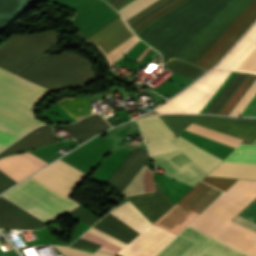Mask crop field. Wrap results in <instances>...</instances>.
<instances>
[{
    "label": "crop field",
    "instance_id": "obj_1",
    "mask_svg": "<svg viewBox=\"0 0 256 256\" xmlns=\"http://www.w3.org/2000/svg\"><path fill=\"white\" fill-rule=\"evenodd\" d=\"M58 43L52 31L12 36L0 46V67L15 74ZM0 68V127L21 137L39 125L33 106L48 92Z\"/></svg>",
    "mask_w": 256,
    "mask_h": 256
},
{
    "label": "crop field",
    "instance_id": "obj_2",
    "mask_svg": "<svg viewBox=\"0 0 256 256\" xmlns=\"http://www.w3.org/2000/svg\"><path fill=\"white\" fill-rule=\"evenodd\" d=\"M179 152H181L180 150H178V151H174V152H170V153H166V154H162V155H158V156H153V157H151L152 159H153V161L155 162V163H157L154 159L155 158H157V157H159L160 159H162L164 162H166L169 166H171L173 169H175V170H173L171 167H169L166 163H164L162 160H160L159 158V160L161 161V162H163L165 165H164V167L168 170V171H170L172 174L174 173V172H176L175 174H171V173H169L165 168H163L159 163H157L159 166H161L163 169H165L166 171L165 172H163V174H165V175H167V176H169V177H172V178H174V179H176V180H178V181H181V182H183V183H185L184 181H186L185 179H183L178 173L180 172L181 173V171H184V170H188L190 173H192L197 179L196 180H194L191 176V178L194 180V181H192V182H190V183H188L187 181V183H188V185H191V186H194V185H196L205 175H206V173L204 172H202L201 170H199L200 168L195 164V163H193V162H190V163H188V164H186V165H184V166H182V167H180L181 165H183V164H185V163H187V162H189V161H191L185 154H183L182 152L181 153H179ZM177 153H179V154H177ZM175 154H177V155H175ZM173 155H175V156H173ZM171 156H173L178 162V164L180 165H178L177 163H175L174 161H172L171 159H170V157ZM195 166H197L196 168H194L195 170H197L200 174L201 173H203V174H201V175H196L194 172H192L190 169L191 168H193V167H195ZM185 172V171H184ZM186 173V172H185ZM180 176L183 180H181L178 176ZM182 174V173H181ZM187 174V173H186ZM188 175V174H187ZM191 175V174H190ZM188 179V178H187ZM236 179H232V178H221V177H211V176H206L202 181H204V182H206V183H208V184H210V185H212V186H214V187H216V188H218V189H220V190H222V191H224V190H226L234 181H235ZM201 184V182H199L194 188H192L181 200H179L164 216H162L161 218H159L157 221H155L154 222V224L153 225H155V226H157V227H159V228H162V229H164V230H166V231H169V232H171V233H173V234H175V235H177L188 223H190L198 214H199V212H197V211H195V210H193V209H191V208H189V207H187V206H185V205H183V204H181L180 202L185 198V197H187L196 187H198L199 185ZM222 192H220V191H218V190H216V189H214V188H212V187H210V186H208V185H206V184H204V183H202L198 188H196L187 198H185L183 201H182V203H184V204H186V205H188V206H190V207H192V208H194V209H196L201 203L202 204H204V205H206V206H208L211 202H213L220 194H221ZM178 204H180V205H182V206H184V207H186V208H188V209H190V210H192V211H194V212H196L197 214L195 215V213H193V212H191V211H189V210H187V209H185V208H183V207H181V206H179ZM128 206L130 209H132L134 212H136L138 215H140L141 217L140 218H142L144 221H146V222H144L142 219H140L139 217H138V215L136 214V213H134L132 210H130L128 207H126V206ZM178 205V206H177ZM123 206H125V207H123ZM177 206V207H176ZM123 207V208H122ZM176 207V208H175ZM120 208H122V209H120ZM175 208V209H174ZM120 209V210H119ZM172 209H174V210H172ZM117 210H119V211H121L123 214H125L126 216H128L129 218H131L133 221H135L136 223L135 224H133L132 226L135 228V229H140L142 226H144L145 224H147V225H145L143 228H141L140 230H136L137 232H141V231H143L145 228H147L149 225H151L150 223H149V221L128 201V202H126V203H124V204H122L121 206H119V207H117L116 209H114L112 212H110V213H114V212H116ZM172 210V211H171ZM171 211V212H170ZM170 212V213H169ZM169 213V214H168ZM168 214V215H167ZM114 215V214H113ZM167 215V216H166ZM195 215V216H194ZM116 216V215H115ZM166 216V217H165ZM177 216H179V217H181V218H183V219H185V220H187V221H189L193 216V218L187 223V224H185L177 233H175V232H173V231H171V230H169V229H167V228H165L170 222H172ZM117 217V216H116ZM165 217V218H164ZM118 218V217H117ZM162 218H164V219H162ZM120 219V218H119ZM162 219V220H161ZM121 220V219H120ZM161 220V221H160ZM123 221V220H122ZM160 221V222H159ZM124 222V221H123ZM159 222V224H161V225H163V226H165V227H163V226H161V225H159V224H157ZM127 224V223H126ZM128 225V224H127ZM153 225H151L150 227H148L146 230H144L142 233H140L137 237H135L127 246H125L126 244H123L122 245V243H120V242H118V241H116V240H114V239H112V238H110V237H108V236H106V235H104V234H102V233H100V232H98V231H96V230H94V229H92V227L88 230V232L92 229V230H94V231H96V232H98V233H100V234H102V235H104V236H106V237H108V238H110L111 240V242H113V243H115V244H117V245H119V246H121V248H123L124 246V248L121 250V251H119V253H118V255L117 256H137L138 255V253H140V254H142V255H144V256H149V255H147V254H145V253H143V252H141V251H144L157 237L158 238H160V239H162V240H164V241H169L171 238H172V236H170V235H168V234H166V233H164V232H162V231H160V230H158V229H156V228H154L153 227ZM130 226V225H129ZM131 227V226H130ZM132 227V228H133ZM153 227V228H152ZM133 228V229H134ZM152 228V229H151ZM151 229V230H150ZM161 229V230H162ZM150 230V231H149ZM163 230V231H164ZM149 231V232H148ZM165 231V232H166ZM148 232V233H147ZM169 232H167V233H169ZM91 233V232H90ZM147 233V234H146ZM171 233H169V234H171ZM93 234V233H92ZM146 234V235H145ZM173 234H171V235H173ZM95 235V234H94ZM145 235V236H144ZM175 235H173L174 237H175ZM97 236V235H96ZM142 236H144V237H142ZM99 237V236H98ZM142 237V238H141ZM173 237V238H174ZM101 238V237H100ZM141 238V239H140ZM172 238V239H173ZM103 239V238H102ZM140 239V240H139ZM171 239V240H172ZM139 240V241H138ZM170 240V241H171ZM138 241V242H137ZM169 241V242H170ZM137 242V243H136ZM169 242H167L160 250H162ZM136 243V244H135ZM135 244V245H134ZM134 245V246H133ZM135 247V248H137V249H139V250H141V251H139V250H137V249H135V248H133V247ZM159 250V251H160ZM158 251V252H159ZM158 252H156L153 256H155ZM140 256V255H139Z\"/></svg>",
    "mask_w": 256,
    "mask_h": 256
},
{
    "label": "crop field",
    "instance_id": "obj_3",
    "mask_svg": "<svg viewBox=\"0 0 256 256\" xmlns=\"http://www.w3.org/2000/svg\"><path fill=\"white\" fill-rule=\"evenodd\" d=\"M18 75L50 91L82 86L96 80L90 64L69 51L56 56H43Z\"/></svg>",
    "mask_w": 256,
    "mask_h": 256
},
{
    "label": "crop field",
    "instance_id": "obj_4",
    "mask_svg": "<svg viewBox=\"0 0 256 256\" xmlns=\"http://www.w3.org/2000/svg\"><path fill=\"white\" fill-rule=\"evenodd\" d=\"M137 122L145 143H150L147 144L150 156L180 149L207 174L222 161V159L198 149L199 147L188 140L176 136L158 116L143 117Z\"/></svg>",
    "mask_w": 256,
    "mask_h": 256
},
{
    "label": "crop field",
    "instance_id": "obj_5",
    "mask_svg": "<svg viewBox=\"0 0 256 256\" xmlns=\"http://www.w3.org/2000/svg\"><path fill=\"white\" fill-rule=\"evenodd\" d=\"M30 178L2 195L47 224L79 205Z\"/></svg>",
    "mask_w": 256,
    "mask_h": 256
},
{
    "label": "crop field",
    "instance_id": "obj_6",
    "mask_svg": "<svg viewBox=\"0 0 256 256\" xmlns=\"http://www.w3.org/2000/svg\"><path fill=\"white\" fill-rule=\"evenodd\" d=\"M86 41L98 47L111 67L140 40L119 15L87 38Z\"/></svg>",
    "mask_w": 256,
    "mask_h": 256
},
{
    "label": "crop field",
    "instance_id": "obj_7",
    "mask_svg": "<svg viewBox=\"0 0 256 256\" xmlns=\"http://www.w3.org/2000/svg\"><path fill=\"white\" fill-rule=\"evenodd\" d=\"M252 0H233L178 56L194 63Z\"/></svg>",
    "mask_w": 256,
    "mask_h": 256
},
{
    "label": "crop field",
    "instance_id": "obj_8",
    "mask_svg": "<svg viewBox=\"0 0 256 256\" xmlns=\"http://www.w3.org/2000/svg\"><path fill=\"white\" fill-rule=\"evenodd\" d=\"M256 20V0L235 19L212 46L200 57L195 65L209 69L242 36L245 30Z\"/></svg>",
    "mask_w": 256,
    "mask_h": 256
},
{
    "label": "crop field",
    "instance_id": "obj_9",
    "mask_svg": "<svg viewBox=\"0 0 256 256\" xmlns=\"http://www.w3.org/2000/svg\"><path fill=\"white\" fill-rule=\"evenodd\" d=\"M86 176L59 159L31 177L67 198Z\"/></svg>",
    "mask_w": 256,
    "mask_h": 256
},
{
    "label": "crop field",
    "instance_id": "obj_10",
    "mask_svg": "<svg viewBox=\"0 0 256 256\" xmlns=\"http://www.w3.org/2000/svg\"><path fill=\"white\" fill-rule=\"evenodd\" d=\"M187 228H189V227H187ZM186 228V229H187ZM185 229V230H186ZM189 229H191V228H189ZM191 230H193V229H191ZM193 231H195V230H193ZM195 232H197V231H195ZM185 233H187V234H189V235H191V236H193L194 238L196 237V236H198V234H196V233H194V232H192V231H190V230H186L185 231ZM197 233H199V232H197ZM200 235L197 237V238H193L194 240H192V239H190V238H188V237H186V236H184V235H182V234H180L179 236H181V237H183V238H185V239H187V240H189V241H191V242H193L192 244H191V242H189V241H187V240H185V239H183V238H181V237H177V238H175L169 245H171L176 239V241L172 244V246H174V247H176V248H178L179 250L174 254V255H172V256H178L182 251H184L190 244V246L183 252V253H181L179 256H195L212 238H210V237H208V236H206V235H204V234H202V233H199ZM217 240H215V239H212L196 256H200V255H202L203 253H205V254H207V255H209V256H244L245 254H243V253H241V252H239V251H237V250H235V249H233L232 251H231V249H229V248H227V247H225V246H223V245H221V244H219V243H217L216 242ZM216 242V243H215ZM219 242V241H218ZM216 244V245H218V246H220V247H222V248H224L225 250L224 251H226V252H230L229 254H227V253H225V252H223V251H221V250H219V249H217V248H215V247H213L212 245L213 244ZM221 243V242H220ZM223 244V243H222ZM168 245V246H169ZM225 245V244H224ZM167 246V247H168ZM227 246V245H226ZM166 247V248H167ZM229 247V246H228ZM165 248V249H166ZM231 248V247H230ZM164 249V250H165ZM163 250V251H164ZM162 251V252H163ZM161 252V253H162ZM161 253H159L157 256H159ZM247 256V255H246Z\"/></svg>",
    "mask_w": 256,
    "mask_h": 256
},
{
    "label": "crop field",
    "instance_id": "obj_11",
    "mask_svg": "<svg viewBox=\"0 0 256 256\" xmlns=\"http://www.w3.org/2000/svg\"><path fill=\"white\" fill-rule=\"evenodd\" d=\"M56 135L52 133L51 127L44 125L36 128L18 140L16 143L0 153V158L6 155L24 152L41 146L58 143Z\"/></svg>",
    "mask_w": 256,
    "mask_h": 256
},
{
    "label": "crop field",
    "instance_id": "obj_12",
    "mask_svg": "<svg viewBox=\"0 0 256 256\" xmlns=\"http://www.w3.org/2000/svg\"><path fill=\"white\" fill-rule=\"evenodd\" d=\"M109 127L107 122L99 114H95L63 128L70 131L72 133L70 136L78 142H83L91 138L94 134Z\"/></svg>",
    "mask_w": 256,
    "mask_h": 256
},
{
    "label": "crop field",
    "instance_id": "obj_13",
    "mask_svg": "<svg viewBox=\"0 0 256 256\" xmlns=\"http://www.w3.org/2000/svg\"><path fill=\"white\" fill-rule=\"evenodd\" d=\"M39 168L41 167L19 155L0 159V171H2L16 182L29 176Z\"/></svg>",
    "mask_w": 256,
    "mask_h": 256
},
{
    "label": "crop field",
    "instance_id": "obj_14",
    "mask_svg": "<svg viewBox=\"0 0 256 256\" xmlns=\"http://www.w3.org/2000/svg\"><path fill=\"white\" fill-rule=\"evenodd\" d=\"M157 1L158 0H134L131 3H129L128 5H126L124 8H122L121 10H119L118 12L127 21ZM167 1H169V0H160L157 3H155L154 5L150 6L146 10H144L143 12H141L140 14H138L137 16L133 17L132 19L127 21L129 26L132 25L133 23L137 22L138 20H140L147 14L151 13L152 11H154L155 9H157L158 7H160Z\"/></svg>",
    "mask_w": 256,
    "mask_h": 256
},
{
    "label": "crop field",
    "instance_id": "obj_15",
    "mask_svg": "<svg viewBox=\"0 0 256 256\" xmlns=\"http://www.w3.org/2000/svg\"><path fill=\"white\" fill-rule=\"evenodd\" d=\"M208 175L256 179V165L221 162Z\"/></svg>",
    "mask_w": 256,
    "mask_h": 256
},
{
    "label": "crop field",
    "instance_id": "obj_16",
    "mask_svg": "<svg viewBox=\"0 0 256 256\" xmlns=\"http://www.w3.org/2000/svg\"><path fill=\"white\" fill-rule=\"evenodd\" d=\"M153 173L154 172L150 171L144 164L121 195L128 197L132 195L154 192L155 186L152 179Z\"/></svg>",
    "mask_w": 256,
    "mask_h": 256
},
{
    "label": "crop field",
    "instance_id": "obj_17",
    "mask_svg": "<svg viewBox=\"0 0 256 256\" xmlns=\"http://www.w3.org/2000/svg\"><path fill=\"white\" fill-rule=\"evenodd\" d=\"M88 99L86 95H80L78 97L61 100L57 104L78 120L92 113Z\"/></svg>",
    "mask_w": 256,
    "mask_h": 256
},
{
    "label": "crop field",
    "instance_id": "obj_18",
    "mask_svg": "<svg viewBox=\"0 0 256 256\" xmlns=\"http://www.w3.org/2000/svg\"><path fill=\"white\" fill-rule=\"evenodd\" d=\"M186 129L194 133H197L201 136H204L206 138L212 139L214 141H217L235 148L242 142V140H239L237 138L195 125L193 123H191Z\"/></svg>",
    "mask_w": 256,
    "mask_h": 256
},
{
    "label": "crop field",
    "instance_id": "obj_19",
    "mask_svg": "<svg viewBox=\"0 0 256 256\" xmlns=\"http://www.w3.org/2000/svg\"><path fill=\"white\" fill-rule=\"evenodd\" d=\"M223 161L256 164V145L240 144Z\"/></svg>",
    "mask_w": 256,
    "mask_h": 256
},
{
    "label": "crop field",
    "instance_id": "obj_20",
    "mask_svg": "<svg viewBox=\"0 0 256 256\" xmlns=\"http://www.w3.org/2000/svg\"><path fill=\"white\" fill-rule=\"evenodd\" d=\"M247 75V74H246ZM246 75H242L237 73L236 76L232 79V81L227 85V87L223 90V92L219 95V97L214 101V103L210 106L206 113H214L217 114L221 107L225 104L228 98L232 95V93L236 90L239 84L243 81Z\"/></svg>",
    "mask_w": 256,
    "mask_h": 256
},
{
    "label": "crop field",
    "instance_id": "obj_21",
    "mask_svg": "<svg viewBox=\"0 0 256 256\" xmlns=\"http://www.w3.org/2000/svg\"><path fill=\"white\" fill-rule=\"evenodd\" d=\"M163 67L192 80L196 79L198 76L205 72V70L201 68L184 63L177 59L169 60Z\"/></svg>",
    "mask_w": 256,
    "mask_h": 256
},
{
    "label": "crop field",
    "instance_id": "obj_22",
    "mask_svg": "<svg viewBox=\"0 0 256 256\" xmlns=\"http://www.w3.org/2000/svg\"><path fill=\"white\" fill-rule=\"evenodd\" d=\"M148 158V151L147 149H145L114 186L119 193H121L122 190L127 186V184L131 181V179L135 176V174L138 172V170L142 167V165L146 162Z\"/></svg>",
    "mask_w": 256,
    "mask_h": 256
},
{
    "label": "crop field",
    "instance_id": "obj_23",
    "mask_svg": "<svg viewBox=\"0 0 256 256\" xmlns=\"http://www.w3.org/2000/svg\"><path fill=\"white\" fill-rule=\"evenodd\" d=\"M256 79V75H250L248 74L247 77L244 79V81L240 84V86L237 88V90L234 92V94L230 97V99L227 101V103L223 106V108L220 110V114H226L228 115L230 111L234 108V106L237 104V102L241 99V97L244 95V93L247 91V89L250 87V85L253 83V81Z\"/></svg>",
    "mask_w": 256,
    "mask_h": 256
},
{
    "label": "crop field",
    "instance_id": "obj_24",
    "mask_svg": "<svg viewBox=\"0 0 256 256\" xmlns=\"http://www.w3.org/2000/svg\"><path fill=\"white\" fill-rule=\"evenodd\" d=\"M0 228L36 229L22 219L0 207Z\"/></svg>",
    "mask_w": 256,
    "mask_h": 256
},
{
    "label": "crop field",
    "instance_id": "obj_25",
    "mask_svg": "<svg viewBox=\"0 0 256 256\" xmlns=\"http://www.w3.org/2000/svg\"><path fill=\"white\" fill-rule=\"evenodd\" d=\"M0 206L12 212L13 214L17 215L18 217L22 218L23 220H25L26 222L30 223L31 225H33L38 229L47 225L42 221L38 220L37 218L33 217L32 215H30L29 213L25 212L24 210L20 209L19 207L15 206L13 203L1 197H0Z\"/></svg>",
    "mask_w": 256,
    "mask_h": 256
},
{
    "label": "crop field",
    "instance_id": "obj_26",
    "mask_svg": "<svg viewBox=\"0 0 256 256\" xmlns=\"http://www.w3.org/2000/svg\"><path fill=\"white\" fill-rule=\"evenodd\" d=\"M142 150L131 151L130 154L125 158L121 165L116 169L112 176L107 180L106 184L114 186L119 178L124 174L132 162L137 158Z\"/></svg>",
    "mask_w": 256,
    "mask_h": 256
},
{
    "label": "crop field",
    "instance_id": "obj_27",
    "mask_svg": "<svg viewBox=\"0 0 256 256\" xmlns=\"http://www.w3.org/2000/svg\"><path fill=\"white\" fill-rule=\"evenodd\" d=\"M81 238H84V239L90 240L92 242L103 245L101 248L98 249L99 251H105V252H109V253L116 255V253L121 249V248H119L107 241H104L88 232H86L84 235H82Z\"/></svg>",
    "mask_w": 256,
    "mask_h": 256
},
{
    "label": "crop field",
    "instance_id": "obj_28",
    "mask_svg": "<svg viewBox=\"0 0 256 256\" xmlns=\"http://www.w3.org/2000/svg\"><path fill=\"white\" fill-rule=\"evenodd\" d=\"M57 247L66 256H112V255H108V254H104V253H98V252H95V253L91 254V253L79 251V250L68 248V247H61V246H57Z\"/></svg>",
    "mask_w": 256,
    "mask_h": 256
},
{
    "label": "crop field",
    "instance_id": "obj_29",
    "mask_svg": "<svg viewBox=\"0 0 256 256\" xmlns=\"http://www.w3.org/2000/svg\"><path fill=\"white\" fill-rule=\"evenodd\" d=\"M74 216H76L78 219L86 223L88 226H92L94 223L97 222L94 218H92L90 215H88L86 212H84L79 207L75 208L73 211H71Z\"/></svg>",
    "mask_w": 256,
    "mask_h": 256
},
{
    "label": "crop field",
    "instance_id": "obj_30",
    "mask_svg": "<svg viewBox=\"0 0 256 256\" xmlns=\"http://www.w3.org/2000/svg\"><path fill=\"white\" fill-rule=\"evenodd\" d=\"M239 216L256 224V200L253 201Z\"/></svg>",
    "mask_w": 256,
    "mask_h": 256
},
{
    "label": "crop field",
    "instance_id": "obj_31",
    "mask_svg": "<svg viewBox=\"0 0 256 256\" xmlns=\"http://www.w3.org/2000/svg\"><path fill=\"white\" fill-rule=\"evenodd\" d=\"M19 137L0 129V145L6 147L16 141ZM0 146V151L4 148Z\"/></svg>",
    "mask_w": 256,
    "mask_h": 256
},
{
    "label": "crop field",
    "instance_id": "obj_32",
    "mask_svg": "<svg viewBox=\"0 0 256 256\" xmlns=\"http://www.w3.org/2000/svg\"><path fill=\"white\" fill-rule=\"evenodd\" d=\"M93 227H95V228H97V229H99V230H101V231H103V232H105V233H107V234L125 242V243H129L131 241V240L125 238L124 236L118 234L117 232L113 231L112 229L106 227L105 225H103L99 222L96 223Z\"/></svg>",
    "mask_w": 256,
    "mask_h": 256
},
{
    "label": "crop field",
    "instance_id": "obj_33",
    "mask_svg": "<svg viewBox=\"0 0 256 256\" xmlns=\"http://www.w3.org/2000/svg\"><path fill=\"white\" fill-rule=\"evenodd\" d=\"M239 116H256V94L249 101Z\"/></svg>",
    "mask_w": 256,
    "mask_h": 256
},
{
    "label": "crop field",
    "instance_id": "obj_34",
    "mask_svg": "<svg viewBox=\"0 0 256 256\" xmlns=\"http://www.w3.org/2000/svg\"><path fill=\"white\" fill-rule=\"evenodd\" d=\"M71 246H77V247H87L91 249L97 250L101 245L92 243L90 241L84 240L79 238L76 242H74Z\"/></svg>",
    "mask_w": 256,
    "mask_h": 256
},
{
    "label": "crop field",
    "instance_id": "obj_35",
    "mask_svg": "<svg viewBox=\"0 0 256 256\" xmlns=\"http://www.w3.org/2000/svg\"><path fill=\"white\" fill-rule=\"evenodd\" d=\"M20 155L23 156V157H25L26 159H28V160L34 162L35 164H37V165H39V166H41V167L44 166V165H46V164H48V163L42 161L41 159L35 157L34 155L28 153V152H26V153H24V154H20Z\"/></svg>",
    "mask_w": 256,
    "mask_h": 256
},
{
    "label": "crop field",
    "instance_id": "obj_36",
    "mask_svg": "<svg viewBox=\"0 0 256 256\" xmlns=\"http://www.w3.org/2000/svg\"><path fill=\"white\" fill-rule=\"evenodd\" d=\"M233 220H235V221H237V222H239V223H241V224H243V225H245V226H247V227L256 231V225L255 224H253V223H251V222H249V221H247V220H245V219H243L239 216H237Z\"/></svg>",
    "mask_w": 256,
    "mask_h": 256
},
{
    "label": "crop field",
    "instance_id": "obj_37",
    "mask_svg": "<svg viewBox=\"0 0 256 256\" xmlns=\"http://www.w3.org/2000/svg\"><path fill=\"white\" fill-rule=\"evenodd\" d=\"M128 0H111L108 2L110 5H112L115 9L119 6H121L123 3H125Z\"/></svg>",
    "mask_w": 256,
    "mask_h": 256
},
{
    "label": "crop field",
    "instance_id": "obj_38",
    "mask_svg": "<svg viewBox=\"0 0 256 256\" xmlns=\"http://www.w3.org/2000/svg\"><path fill=\"white\" fill-rule=\"evenodd\" d=\"M151 48H147L143 53L142 55L136 60V62H138Z\"/></svg>",
    "mask_w": 256,
    "mask_h": 256
},
{
    "label": "crop field",
    "instance_id": "obj_39",
    "mask_svg": "<svg viewBox=\"0 0 256 256\" xmlns=\"http://www.w3.org/2000/svg\"><path fill=\"white\" fill-rule=\"evenodd\" d=\"M251 144H256V139Z\"/></svg>",
    "mask_w": 256,
    "mask_h": 256
}]
</instances>
